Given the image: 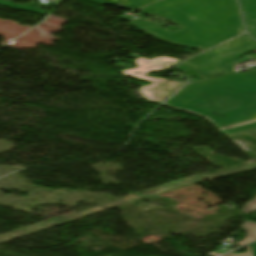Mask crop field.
Segmentation results:
<instances>
[{"mask_svg": "<svg viewBox=\"0 0 256 256\" xmlns=\"http://www.w3.org/2000/svg\"><path fill=\"white\" fill-rule=\"evenodd\" d=\"M139 11L161 16L182 29L166 31L143 19L130 24L183 47L207 50L245 32L236 0H162Z\"/></svg>", "mask_w": 256, "mask_h": 256, "instance_id": "8a807250", "label": "crop field"}, {"mask_svg": "<svg viewBox=\"0 0 256 256\" xmlns=\"http://www.w3.org/2000/svg\"><path fill=\"white\" fill-rule=\"evenodd\" d=\"M166 104L211 119L225 134L256 129V70L187 85Z\"/></svg>", "mask_w": 256, "mask_h": 256, "instance_id": "ac0d7876", "label": "crop field"}, {"mask_svg": "<svg viewBox=\"0 0 256 256\" xmlns=\"http://www.w3.org/2000/svg\"><path fill=\"white\" fill-rule=\"evenodd\" d=\"M255 49L256 41L244 34L181 64L195 69L210 79L232 73V62Z\"/></svg>", "mask_w": 256, "mask_h": 256, "instance_id": "34b2d1b8", "label": "crop field"}, {"mask_svg": "<svg viewBox=\"0 0 256 256\" xmlns=\"http://www.w3.org/2000/svg\"><path fill=\"white\" fill-rule=\"evenodd\" d=\"M246 27L256 39V0H239Z\"/></svg>", "mask_w": 256, "mask_h": 256, "instance_id": "412701ff", "label": "crop field"}, {"mask_svg": "<svg viewBox=\"0 0 256 256\" xmlns=\"http://www.w3.org/2000/svg\"><path fill=\"white\" fill-rule=\"evenodd\" d=\"M241 228L246 229L247 235L242 241L236 243L237 245H244L256 239V222L247 221Z\"/></svg>", "mask_w": 256, "mask_h": 256, "instance_id": "f4fd0767", "label": "crop field"}, {"mask_svg": "<svg viewBox=\"0 0 256 256\" xmlns=\"http://www.w3.org/2000/svg\"><path fill=\"white\" fill-rule=\"evenodd\" d=\"M252 211H256V197H255L254 201L246 204V206L242 210V212H244V213H248V212H252Z\"/></svg>", "mask_w": 256, "mask_h": 256, "instance_id": "dd49c442", "label": "crop field"}, {"mask_svg": "<svg viewBox=\"0 0 256 256\" xmlns=\"http://www.w3.org/2000/svg\"><path fill=\"white\" fill-rule=\"evenodd\" d=\"M247 251H248V253H245V254H239V255L229 254V255H226V256H253L250 246L247 247Z\"/></svg>", "mask_w": 256, "mask_h": 256, "instance_id": "e52e79f7", "label": "crop field"}, {"mask_svg": "<svg viewBox=\"0 0 256 256\" xmlns=\"http://www.w3.org/2000/svg\"><path fill=\"white\" fill-rule=\"evenodd\" d=\"M253 255L256 256V242L251 244Z\"/></svg>", "mask_w": 256, "mask_h": 256, "instance_id": "d8731c3e", "label": "crop field"}]
</instances>
